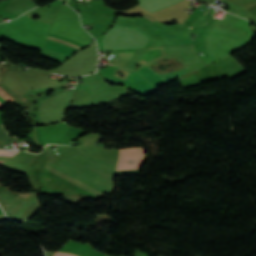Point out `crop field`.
<instances>
[{"instance_id":"412701ff","label":"crop field","mask_w":256,"mask_h":256,"mask_svg":"<svg viewBox=\"0 0 256 256\" xmlns=\"http://www.w3.org/2000/svg\"><path fill=\"white\" fill-rule=\"evenodd\" d=\"M54 256H76V255H71V254H65V253L56 252V254H55Z\"/></svg>"},{"instance_id":"e52e79f7","label":"crop field","mask_w":256,"mask_h":256,"mask_svg":"<svg viewBox=\"0 0 256 256\" xmlns=\"http://www.w3.org/2000/svg\"><path fill=\"white\" fill-rule=\"evenodd\" d=\"M209 9L207 10L206 14L208 13Z\"/></svg>"},{"instance_id":"8a807250","label":"crop field","mask_w":256,"mask_h":256,"mask_svg":"<svg viewBox=\"0 0 256 256\" xmlns=\"http://www.w3.org/2000/svg\"><path fill=\"white\" fill-rule=\"evenodd\" d=\"M143 157H147V156L145 155L143 147H139V148L120 150L118 160L143 158Z\"/></svg>"},{"instance_id":"34b2d1b8","label":"crop field","mask_w":256,"mask_h":256,"mask_svg":"<svg viewBox=\"0 0 256 256\" xmlns=\"http://www.w3.org/2000/svg\"><path fill=\"white\" fill-rule=\"evenodd\" d=\"M0 95H1L3 98H5L7 101H9V100L12 99L8 94H6V93L2 90V88H0Z\"/></svg>"},{"instance_id":"f4fd0767","label":"crop field","mask_w":256,"mask_h":256,"mask_svg":"<svg viewBox=\"0 0 256 256\" xmlns=\"http://www.w3.org/2000/svg\"><path fill=\"white\" fill-rule=\"evenodd\" d=\"M1 106H4V105L0 102V107H1Z\"/></svg>"},{"instance_id":"dd49c442","label":"crop field","mask_w":256,"mask_h":256,"mask_svg":"<svg viewBox=\"0 0 256 256\" xmlns=\"http://www.w3.org/2000/svg\"><path fill=\"white\" fill-rule=\"evenodd\" d=\"M116 57H117V56L115 55V56H114V59H116Z\"/></svg>"},{"instance_id":"ac0d7876","label":"crop field","mask_w":256,"mask_h":256,"mask_svg":"<svg viewBox=\"0 0 256 256\" xmlns=\"http://www.w3.org/2000/svg\"><path fill=\"white\" fill-rule=\"evenodd\" d=\"M47 40H49V41H53V42H57V43H61V44H64V45H66V46H69V47H71V48H74V49H76V50H78L79 48H77V47H74V46H72V45H69V44H67V43H65V42H62V41H58V40H56V39H51V38H48ZM44 47H46V48H50V49H54V50H57V51H59V52H62V53H64V54H67V55H69V56H71V54H72V52H70V51H67V50H64V49H62V48H58V47H54V46H50V45H46L45 44V46Z\"/></svg>"}]
</instances>
